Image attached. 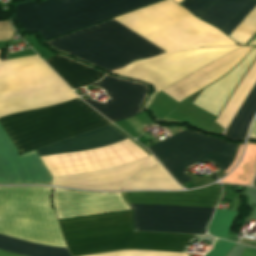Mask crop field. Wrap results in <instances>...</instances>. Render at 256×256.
Listing matches in <instances>:
<instances>
[{
  "label": "crop field",
  "mask_w": 256,
  "mask_h": 256,
  "mask_svg": "<svg viewBox=\"0 0 256 256\" xmlns=\"http://www.w3.org/2000/svg\"><path fill=\"white\" fill-rule=\"evenodd\" d=\"M74 98L37 55L2 62L0 59V116Z\"/></svg>",
  "instance_id": "e52e79f7"
},
{
  "label": "crop field",
  "mask_w": 256,
  "mask_h": 256,
  "mask_svg": "<svg viewBox=\"0 0 256 256\" xmlns=\"http://www.w3.org/2000/svg\"><path fill=\"white\" fill-rule=\"evenodd\" d=\"M94 84L102 87L113 101L105 105L92 102L88 98L84 101L111 121L115 122L142 112L139 105L145 95L147 86L116 79L108 75Z\"/></svg>",
  "instance_id": "5142ce71"
},
{
  "label": "crop field",
  "mask_w": 256,
  "mask_h": 256,
  "mask_svg": "<svg viewBox=\"0 0 256 256\" xmlns=\"http://www.w3.org/2000/svg\"><path fill=\"white\" fill-rule=\"evenodd\" d=\"M255 57L256 48H254L230 73L203 90L194 101V104L217 116L228 96L236 87L245 70Z\"/></svg>",
  "instance_id": "733c2abd"
},
{
  "label": "crop field",
  "mask_w": 256,
  "mask_h": 256,
  "mask_svg": "<svg viewBox=\"0 0 256 256\" xmlns=\"http://www.w3.org/2000/svg\"><path fill=\"white\" fill-rule=\"evenodd\" d=\"M242 256H256L255 249H244L242 252Z\"/></svg>",
  "instance_id": "a9b5d70f"
},
{
  "label": "crop field",
  "mask_w": 256,
  "mask_h": 256,
  "mask_svg": "<svg viewBox=\"0 0 256 256\" xmlns=\"http://www.w3.org/2000/svg\"><path fill=\"white\" fill-rule=\"evenodd\" d=\"M122 189H182L158 162L144 167Z\"/></svg>",
  "instance_id": "bc2a9ffb"
},
{
  "label": "crop field",
  "mask_w": 256,
  "mask_h": 256,
  "mask_svg": "<svg viewBox=\"0 0 256 256\" xmlns=\"http://www.w3.org/2000/svg\"><path fill=\"white\" fill-rule=\"evenodd\" d=\"M249 137H256V119L252 125L250 136Z\"/></svg>",
  "instance_id": "4177f3b9"
},
{
  "label": "crop field",
  "mask_w": 256,
  "mask_h": 256,
  "mask_svg": "<svg viewBox=\"0 0 256 256\" xmlns=\"http://www.w3.org/2000/svg\"><path fill=\"white\" fill-rule=\"evenodd\" d=\"M255 175H256V170H255V173H254V176H253V179H252V182H251V185H250V186L253 185ZM253 186H256V178H255V182H254V185H253Z\"/></svg>",
  "instance_id": "730fd06b"
},
{
  "label": "crop field",
  "mask_w": 256,
  "mask_h": 256,
  "mask_svg": "<svg viewBox=\"0 0 256 256\" xmlns=\"http://www.w3.org/2000/svg\"><path fill=\"white\" fill-rule=\"evenodd\" d=\"M115 19L167 52L235 44L221 31L197 20L171 0ZM116 20L100 22L46 43L108 71L122 68L133 60L166 53Z\"/></svg>",
  "instance_id": "8a807250"
},
{
  "label": "crop field",
  "mask_w": 256,
  "mask_h": 256,
  "mask_svg": "<svg viewBox=\"0 0 256 256\" xmlns=\"http://www.w3.org/2000/svg\"><path fill=\"white\" fill-rule=\"evenodd\" d=\"M249 45L256 46V37L252 40V42Z\"/></svg>",
  "instance_id": "eef30255"
},
{
  "label": "crop field",
  "mask_w": 256,
  "mask_h": 256,
  "mask_svg": "<svg viewBox=\"0 0 256 256\" xmlns=\"http://www.w3.org/2000/svg\"><path fill=\"white\" fill-rule=\"evenodd\" d=\"M236 211L216 210L209 226L208 232L212 236L226 239L228 228Z\"/></svg>",
  "instance_id": "92a150f3"
},
{
  "label": "crop field",
  "mask_w": 256,
  "mask_h": 256,
  "mask_svg": "<svg viewBox=\"0 0 256 256\" xmlns=\"http://www.w3.org/2000/svg\"><path fill=\"white\" fill-rule=\"evenodd\" d=\"M238 146L185 130L148 149L182 184L191 180L183 173L185 168L203 160L214 162L224 172L234 160Z\"/></svg>",
  "instance_id": "5a996713"
},
{
  "label": "crop field",
  "mask_w": 256,
  "mask_h": 256,
  "mask_svg": "<svg viewBox=\"0 0 256 256\" xmlns=\"http://www.w3.org/2000/svg\"><path fill=\"white\" fill-rule=\"evenodd\" d=\"M51 188L0 187V233L66 248L51 202Z\"/></svg>",
  "instance_id": "d8731c3e"
},
{
  "label": "crop field",
  "mask_w": 256,
  "mask_h": 256,
  "mask_svg": "<svg viewBox=\"0 0 256 256\" xmlns=\"http://www.w3.org/2000/svg\"><path fill=\"white\" fill-rule=\"evenodd\" d=\"M126 139L107 125L58 143L37 149L40 157L58 153L83 151L109 145ZM148 156L147 153L126 139L124 141L77 153L42 157L52 177L88 173L129 163Z\"/></svg>",
  "instance_id": "f4fd0767"
},
{
  "label": "crop field",
  "mask_w": 256,
  "mask_h": 256,
  "mask_svg": "<svg viewBox=\"0 0 256 256\" xmlns=\"http://www.w3.org/2000/svg\"><path fill=\"white\" fill-rule=\"evenodd\" d=\"M90 256H188L186 254L179 253H167L158 251H119L106 254L90 255Z\"/></svg>",
  "instance_id": "dafd665d"
},
{
  "label": "crop field",
  "mask_w": 256,
  "mask_h": 256,
  "mask_svg": "<svg viewBox=\"0 0 256 256\" xmlns=\"http://www.w3.org/2000/svg\"><path fill=\"white\" fill-rule=\"evenodd\" d=\"M51 184V176L35 150L19 155L0 126V184Z\"/></svg>",
  "instance_id": "d1516ede"
},
{
  "label": "crop field",
  "mask_w": 256,
  "mask_h": 256,
  "mask_svg": "<svg viewBox=\"0 0 256 256\" xmlns=\"http://www.w3.org/2000/svg\"><path fill=\"white\" fill-rule=\"evenodd\" d=\"M19 154L110 124L79 98L0 117Z\"/></svg>",
  "instance_id": "412701ff"
},
{
  "label": "crop field",
  "mask_w": 256,
  "mask_h": 256,
  "mask_svg": "<svg viewBox=\"0 0 256 256\" xmlns=\"http://www.w3.org/2000/svg\"><path fill=\"white\" fill-rule=\"evenodd\" d=\"M237 47L239 46L181 50L119 69L114 73L151 83L159 92Z\"/></svg>",
  "instance_id": "3316defc"
},
{
  "label": "crop field",
  "mask_w": 256,
  "mask_h": 256,
  "mask_svg": "<svg viewBox=\"0 0 256 256\" xmlns=\"http://www.w3.org/2000/svg\"><path fill=\"white\" fill-rule=\"evenodd\" d=\"M126 203L215 207L221 194L219 184L185 192L121 193ZM132 209L135 231L205 234L215 208L138 205Z\"/></svg>",
  "instance_id": "34b2d1b8"
},
{
  "label": "crop field",
  "mask_w": 256,
  "mask_h": 256,
  "mask_svg": "<svg viewBox=\"0 0 256 256\" xmlns=\"http://www.w3.org/2000/svg\"><path fill=\"white\" fill-rule=\"evenodd\" d=\"M256 83V60L235 89L227 104L216 119L221 127L226 129L228 123L238 110L239 106ZM256 113V84L242 103L241 107L231 120L224 137L234 141L242 140L246 136L248 125ZM222 135V136H223Z\"/></svg>",
  "instance_id": "22f410ed"
},
{
  "label": "crop field",
  "mask_w": 256,
  "mask_h": 256,
  "mask_svg": "<svg viewBox=\"0 0 256 256\" xmlns=\"http://www.w3.org/2000/svg\"><path fill=\"white\" fill-rule=\"evenodd\" d=\"M156 161L152 155L113 169L94 173L53 178L52 185L70 186L93 190H114L120 187L137 171Z\"/></svg>",
  "instance_id": "d9b57169"
},
{
  "label": "crop field",
  "mask_w": 256,
  "mask_h": 256,
  "mask_svg": "<svg viewBox=\"0 0 256 256\" xmlns=\"http://www.w3.org/2000/svg\"><path fill=\"white\" fill-rule=\"evenodd\" d=\"M218 0H184L180 5L187 8L194 16L200 17ZM256 0H219L199 19L217 27L226 35L244 20L255 8ZM256 32V8L229 36L235 42L245 45Z\"/></svg>",
  "instance_id": "28ad6ade"
},
{
  "label": "crop field",
  "mask_w": 256,
  "mask_h": 256,
  "mask_svg": "<svg viewBox=\"0 0 256 256\" xmlns=\"http://www.w3.org/2000/svg\"><path fill=\"white\" fill-rule=\"evenodd\" d=\"M72 256L120 249L183 252L194 235L133 232L131 210L59 221Z\"/></svg>",
  "instance_id": "ac0d7876"
},
{
  "label": "crop field",
  "mask_w": 256,
  "mask_h": 256,
  "mask_svg": "<svg viewBox=\"0 0 256 256\" xmlns=\"http://www.w3.org/2000/svg\"><path fill=\"white\" fill-rule=\"evenodd\" d=\"M0 249L25 256H70L67 249L46 247L0 235ZM0 250V256H21Z\"/></svg>",
  "instance_id": "214f88e0"
},
{
  "label": "crop field",
  "mask_w": 256,
  "mask_h": 256,
  "mask_svg": "<svg viewBox=\"0 0 256 256\" xmlns=\"http://www.w3.org/2000/svg\"><path fill=\"white\" fill-rule=\"evenodd\" d=\"M158 0H45L16 5L17 21L25 31L50 39Z\"/></svg>",
  "instance_id": "dd49c442"
},
{
  "label": "crop field",
  "mask_w": 256,
  "mask_h": 256,
  "mask_svg": "<svg viewBox=\"0 0 256 256\" xmlns=\"http://www.w3.org/2000/svg\"><path fill=\"white\" fill-rule=\"evenodd\" d=\"M57 218H69L130 209L120 193H92L54 188Z\"/></svg>",
  "instance_id": "cbeb9de0"
},
{
  "label": "crop field",
  "mask_w": 256,
  "mask_h": 256,
  "mask_svg": "<svg viewBox=\"0 0 256 256\" xmlns=\"http://www.w3.org/2000/svg\"><path fill=\"white\" fill-rule=\"evenodd\" d=\"M234 245L233 242L217 239L212 250L205 256H225Z\"/></svg>",
  "instance_id": "00972430"
},
{
  "label": "crop field",
  "mask_w": 256,
  "mask_h": 256,
  "mask_svg": "<svg viewBox=\"0 0 256 256\" xmlns=\"http://www.w3.org/2000/svg\"><path fill=\"white\" fill-rule=\"evenodd\" d=\"M173 1H175L177 3H181L182 2V0H173Z\"/></svg>",
  "instance_id": "ae1a2a85"
},
{
  "label": "crop field",
  "mask_w": 256,
  "mask_h": 256,
  "mask_svg": "<svg viewBox=\"0 0 256 256\" xmlns=\"http://www.w3.org/2000/svg\"><path fill=\"white\" fill-rule=\"evenodd\" d=\"M45 62L72 88L84 87L101 79L104 74L82 64L55 55Z\"/></svg>",
  "instance_id": "4a817a6b"
}]
</instances>
